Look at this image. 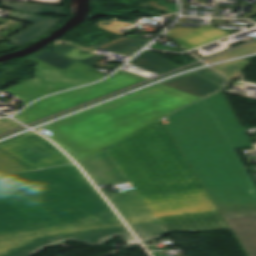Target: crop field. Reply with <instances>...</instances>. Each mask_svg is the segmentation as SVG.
<instances>
[{"mask_svg":"<svg viewBox=\"0 0 256 256\" xmlns=\"http://www.w3.org/2000/svg\"><path fill=\"white\" fill-rule=\"evenodd\" d=\"M105 202L75 165L0 179V256H32L68 239L137 243Z\"/></svg>","mask_w":256,"mask_h":256,"instance_id":"crop-field-1","label":"crop field"},{"mask_svg":"<svg viewBox=\"0 0 256 256\" xmlns=\"http://www.w3.org/2000/svg\"><path fill=\"white\" fill-rule=\"evenodd\" d=\"M164 125L249 256H256V188L234 149L253 147L221 91Z\"/></svg>","mask_w":256,"mask_h":256,"instance_id":"crop-field-2","label":"crop field"},{"mask_svg":"<svg viewBox=\"0 0 256 256\" xmlns=\"http://www.w3.org/2000/svg\"><path fill=\"white\" fill-rule=\"evenodd\" d=\"M105 149L168 232L229 229L160 120Z\"/></svg>","mask_w":256,"mask_h":256,"instance_id":"crop-field-3","label":"crop field"},{"mask_svg":"<svg viewBox=\"0 0 256 256\" xmlns=\"http://www.w3.org/2000/svg\"><path fill=\"white\" fill-rule=\"evenodd\" d=\"M198 99L158 84L45 127L55 134L50 139L75 152L82 160Z\"/></svg>","mask_w":256,"mask_h":256,"instance_id":"crop-field-4","label":"crop field"},{"mask_svg":"<svg viewBox=\"0 0 256 256\" xmlns=\"http://www.w3.org/2000/svg\"><path fill=\"white\" fill-rule=\"evenodd\" d=\"M36 62L35 78L5 91L21 98L26 105L44 95L94 82L105 75L89 70L92 66L76 61L64 71L31 56Z\"/></svg>","mask_w":256,"mask_h":256,"instance_id":"crop-field-5","label":"crop field"},{"mask_svg":"<svg viewBox=\"0 0 256 256\" xmlns=\"http://www.w3.org/2000/svg\"><path fill=\"white\" fill-rule=\"evenodd\" d=\"M143 80L146 79L121 70L105 82L42 99L15 118L27 124Z\"/></svg>","mask_w":256,"mask_h":256,"instance_id":"crop-field-6","label":"crop field"},{"mask_svg":"<svg viewBox=\"0 0 256 256\" xmlns=\"http://www.w3.org/2000/svg\"><path fill=\"white\" fill-rule=\"evenodd\" d=\"M100 190L110 200L141 242L168 234L136 192V189L114 194H110L105 188Z\"/></svg>","mask_w":256,"mask_h":256,"instance_id":"crop-field-7","label":"crop field"},{"mask_svg":"<svg viewBox=\"0 0 256 256\" xmlns=\"http://www.w3.org/2000/svg\"><path fill=\"white\" fill-rule=\"evenodd\" d=\"M0 147L37 169L72 162L50 141L33 132L1 144Z\"/></svg>","mask_w":256,"mask_h":256,"instance_id":"crop-field-8","label":"crop field"},{"mask_svg":"<svg viewBox=\"0 0 256 256\" xmlns=\"http://www.w3.org/2000/svg\"><path fill=\"white\" fill-rule=\"evenodd\" d=\"M149 40L143 39H127V38H118L110 43L99 45L97 48L92 47L85 49L81 46H78L72 42L61 45L52 49L54 52H58L67 57L73 58L75 60L84 62L86 64L96 66V67H108V65L102 64L97 60L98 56L93 54L97 49H105L114 53L124 54L132 56V54L140 50Z\"/></svg>","mask_w":256,"mask_h":256,"instance_id":"crop-field-9","label":"crop field"},{"mask_svg":"<svg viewBox=\"0 0 256 256\" xmlns=\"http://www.w3.org/2000/svg\"><path fill=\"white\" fill-rule=\"evenodd\" d=\"M79 164L97 187L102 184L108 185L128 181L105 149L82 160Z\"/></svg>","mask_w":256,"mask_h":256,"instance_id":"crop-field-10","label":"crop field"},{"mask_svg":"<svg viewBox=\"0 0 256 256\" xmlns=\"http://www.w3.org/2000/svg\"><path fill=\"white\" fill-rule=\"evenodd\" d=\"M9 18L33 23V25L25 28L21 32L9 38L11 39L9 44L15 47H19L25 44L26 42L47 33V31L50 28H52L62 20V19L42 18V17L29 15L25 13H19V12H14L9 16Z\"/></svg>","mask_w":256,"mask_h":256,"instance_id":"crop-field-11","label":"crop field"},{"mask_svg":"<svg viewBox=\"0 0 256 256\" xmlns=\"http://www.w3.org/2000/svg\"><path fill=\"white\" fill-rule=\"evenodd\" d=\"M229 34L231 33L210 26L198 33L190 29L175 28L166 35L190 50Z\"/></svg>","mask_w":256,"mask_h":256,"instance_id":"crop-field-12","label":"crop field"},{"mask_svg":"<svg viewBox=\"0 0 256 256\" xmlns=\"http://www.w3.org/2000/svg\"><path fill=\"white\" fill-rule=\"evenodd\" d=\"M161 84L192 93L201 98L221 87L193 73L167 80Z\"/></svg>","mask_w":256,"mask_h":256,"instance_id":"crop-field-13","label":"crop field"},{"mask_svg":"<svg viewBox=\"0 0 256 256\" xmlns=\"http://www.w3.org/2000/svg\"><path fill=\"white\" fill-rule=\"evenodd\" d=\"M131 64L137 65L146 70L161 74L179 66L162 59L148 51L142 52Z\"/></svg>","mask_w":256,"mask_h":256,"instance_id":"crop-field-14","label":"crop field"},{"mask_svg":"<svg viewBox=\"0 0 256 256\" xmlns=\"http://www.w3.org/2000/svg\"><path fill=\"white\" fill-rule=\"evenodd\" d=\"M0 7L17 9V10H25V11L36 13V14L54 13L58 15H68L67 13L64 12V9L61 7L41 5V4L1 1Z\"/></svg>","mask_w":256,"mask_h":256,"instance_id":"crop-field-15","label":"crop field"},{"mask_svg":"<svg viewBox=\"0 0 256 256\" xmlns=\"http://www.w3.org/2000/svg\"><path fill=\"white\" fill-rule=\"evenodd\" d=\"M28 170L33 168L0 150V176Z\"/></svg>","mask_w":256,"mask_h":256,"instance_id":"crop-field-16","label":"crop field"},{"mask_svg":"<svg viewBox=\"0 0 256 256\" xmlns=\"http://www.w3.org/2000/svg\"><path fill=\"white\" fill-rule=\"evenodd\" d=\"M36 58L49 63L53 66H56L62 70H64L65 68H67L69 65H71L73 62H75V60L67 58L65 56H62L60 54L57 53H52V52H45L39 56H37Z\"/></svg>","mask_w":256,"mask_h":256,"instance_id":"crop-field-17","label":"crop field"},{"mask_svg":"<svg viewBox=\"0 0 256 256\" xmlns=\"http://www.w3.org/2000/svg\"><path fill=\"white\" fill-rule=\"evenodd\" d=\"M193 73H195L201 77H204L210 81H213L221 86H223L227 82H229L228 80H226L224 77H222L220 74H218L211 68L203 69V70L193 72Z\"/></svg>","mask_w":256,"mask_h":256,"instance_id":"crop-field-18","label":"crop field"},{"mask_svg":"<svg viewBox=\"0 0 256 256\" xmlns=\"http://www.w3.org/2000/svg\"><path fill=\"white\" fill-rule=\"evenodd\" d=\"M18 127H21V125L13 122L9 118L5 119V120L0 122V134L11 131V130H13L15 128H18Z\"/></svg>","mask_w":256,"mask_h":256,"instance_id":"crop-field-19","label":"crop field"},{"mask_svg":"<svg viewBox=\"0 0 256 256\" xmlns=\"http://www.w3.org/2000/svg\"><path fill=\"white\" fill-rule=\"evenodd\" d=\"M16 49L15 47L6 44V43H1L0 44V53L5 52V51H9V50H13Z\"/></svg>","mask_w":256,"mask_h":256,"instance_id":"crop-field-20","label":"crop field"},{"mask_svg":"<svg viewBox=\"0 0 256 256\" xmlns=\"http://www.w3.org/2000/svg\"><path fill=\"white\" fill-rule=\"evenodd\" d=\"M151 48L172 51V50H170V49H168V48H166V47H164V46H162L158 43L154 44Z\"/></svg>","mask_w":256,"mask_h":256,"instance_id":"crop-field-21","label":"crop field"},{"mask_svg":"<svg viewBox=\"0 0 256 256\" xmlns=\"http://www.w3.org/2000/svg\"><path fill=\"white\" fill-rule=\"evenodd\" d=\"M62 43L61 42H59V41H55L54 43H52L51 45H49L47 48H50V49H52L51 47L52 46H54V45H61Z\"/></svg>","mask_w":256,"mask_h":256,"instance_id":"crop-field-22","label":"crop field"},{"mask_svg":"<svg viewBox=\"0 0 256 256\" xmlns=\"http://www.w3.org/2000/svg\"><path fill=\"white\" fill-rule=\"evenodd\" d=\"M167 2V1H166ZM170 5V4H169ZM171 8L175 11V12H178V7L177 5H170Z\"/></svg>","mask_w":256,"mask_h":256,"instance_id":"crop-field-23","label":"crop field"},{"mask_svg":"<svg viewBox=\"0 0 256 256\" xmlns=\"http://www.w3.org/2000/svg\"><path fill=\"white\" fill-rule=\"evenodd\" d=\"M45 51H47V50L43 49V50H41V51H39V52L33 54L32 56L35 57V56H37V55H39V54H41V53H43V52H45Z\"/></svg>","mask_w":256,"mask_h":256,"instance_id":"crop-field-24","label":"crop field"},{"mask_svg":"<svg viewBox=\"0 0 256 256\" xmlns=\"http://www.w3.org/2000/svg\"><path fill=\"white\" fill-rule=\"evenodd\" d=\"M3 120V119H0V121Z\"/></svg>","mask_w":256,"mask_h":256,"instance_id":"crop-field-25","label":"crop field"}]
</instances>
